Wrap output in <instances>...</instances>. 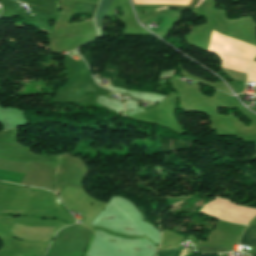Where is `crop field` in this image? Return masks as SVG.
<instances>
[{
    "label": "crop field",
    "mask_w": 256,
    "mask_h": 256,
    "mask_svg": "<svg viewBox=\"0 0 256 256\" xmlns=\"http://www.w3.org/2000/svg\"><path fill=\"white\" fill-rule=\"evenodd\" d=\"M54 229L55 227H27L16 223L11 228V232L17 238L32 241H46Z\"/></svg>",
    "instance_id": "crop-field-1"
},
{
    "label": "crop field",
    "mask_w": 256,
    "mask_h": 256,
    "mask_svg": "<svg viewBox=\"0 0 256 256\" xmlns=\"http://www.w3.org/2000/svg\"><path fill=\"white\" fill-rule=\"evenodd\" d=\"M239 244L256 247V225H248L246 231L240 238Z\"/></svg>",
    "instance_id": "crop-field-2"
},
{
    "label": "crop field",
    "mask_w": 256,
    "mask_h": 256,
    "mask_svg": "<svg viewBox=\"0 0 256 256\" xmlns=\"http://www.w3.org/2000/svg\"><path fill=\"white\" fill-rule=\"evenodd\" d=\"M114 0H102L97 11H96V15L95 18H101V17H106V14L109 10L110 4L113 2Z\"/></svg>",
    "instance_id": "crop-field-3"
},
{
    "label": "crop field",
    "mask_w": 256,
    "mask_h": 256,
    "mask_svg": "<svg viewBox=\"0 0 256 256\" xmlns=\"http://www.w3.org/2000/svg\"><path fill=\"white\" fill-rule=\"evenodd\" d=\"M224 250L225 249L216 248V247H197L198 253H221V252H224Z\"/></svg>",
    "instance_id": "crop-field-4"
},
{
    "label": "crop field",
    "mask_w": 256,
    "mask_h": 256,
    "mask_svg": "<svg viewBox=\"0 0 256 256\" xmlns=\"http://www.w3.org/2000/svg\"><path fill=\"white\" fill-rule=\"evenodd\" d=\"M179 249L159 251L158 256H177Z\"/></svg>",
    "instance_id": "crop-field-5"
},
{
    "label": "crop field",
    "mask_w": 256,
    "mask_h": 256,
    "mask_svg": "<svg viewBox=\"0 0 256 256\" xmlns=\"http://www.w3.org/2000/svg\"><path fill=\"white\" fill-rule=\"evenodd\" d=\"M96 27H101L102 25V18L101 19H95Z\"/></svg>",
    "instance_id": "crop-field-6"
},
{
    "label": "crop field",
    "mask_w": 256,
    "mask_h": 256,
    "mask_svg": "<svg viewBox=\"0 0 256 256\" xmlns=\"http://www.w3.org/2000/svg\"><path fill=\"white\" fill-rule=\"evenodd\" d=\"M252 64L256 65V58L254 59V61L252 62Z\"/></svg>",
    "instance_id": "crop-field-7"
},
{
    "label": "crop field",
    "mask_w": 256,
    "mask_h": 256,
    "mask_svg": "<svg viewBox=\"0 0 256 256\" xmlns=\"http://www.w3.org/2000/svg\"><path fill=\"white\" fill-rule=\"evenodd\" d=\"M88 1L97 2V0H88Z\"/></svg>",
    "instance_id": "crop-field-8"
}]
</instances>
